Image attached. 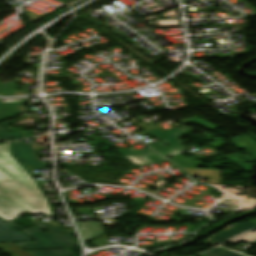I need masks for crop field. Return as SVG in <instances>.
Instances as JSON below:
<instances>
[{
    "mask_svg": "<svg viewBox=\"0 0 256 256\" xmlns=\"http://www.w3.org/2000/svg\"><path fill=\"white\" fill-rule=\"evenodd\" d=\"M31 241L29 237L15 230L9 224L0 219V243Z\"/></svg>",
    "mask_w": 256,
    "mask_h": 256,
    "instance_id": "obj_9",
    "label": "crop field"
},
{
    "mask_svg": "<svg viewBox=\"0 0 256 256\" xmlns=\"http://www.w3.org/2000/svg\"><path fill=\"white\" fill-rule=\"evenodd\" d=\"M191 156V158H186L182 154L172 156L169 160L177 164L178 166L185 169L187 172H189L193 176H203L208 177L209 181L208 183L213 184H219L222 170L221 169H213L214 167H222L220 164H213L209 165L207 167H210L208 169H198L197 166H205L203 163H201L198 158L192 156L189 152H186Z\"/></svg>",
    "mask_w": 256,
    "mask_h": 256,
    "instance_id": "obj_3",
    "label": "crop field"
},
{
    "mask_svg": "<svg viewBox=\"0 0 256 256\" xmlns=\"http://www.w3.org/2000/svg\"><path fill=\"white\" fill-rule=\"evenodd\" d=\"M252 228H256V224L251 221H248L246 223H243V224L237 226L233 230L223 231V232L211 237V239L221 243L227 239H230V238H232L236 235H239V234H241L249 229H252Z\"/></svg>",
    "mask_w": 256,
    "mask_h": 256,
    "instance_id": "obj_11",
    "label": "crop field"
},
{
    "mask_svg": "<svg viewBox=\"0 0 256 256\" xmlns=\"http://www.w3.org/2000/svg\"><path fill=\"white\" fill-rule=\"evenodd\" d=\"M24 213L53 216L45 195L12 156L10 143L0 144V218L14 220Z\"/></svg>",
    "mask_w": 256,
    "mask_h": 256,
    "instance_id": "obj_1",
    "label": "crop field"
},
{
    "mask_svg": "<svg viewBox=\"0 0 256 256\" xmlns=\"http://www.w3.org/2000/svg\"><path fill=\"white\" fill-rule=\"evenodd\" d=\"M164 144H166L169 148L163 146ZM148 146H150L154 150L158 151L163 156H168V155L179 153L177 150H175L174 148H172L170 145H168L165 142H157V143L149 144Z\"/></svg>",
    "mask_w": 256,
    "mask_h": 256,
    "instance_id": "obj_14",
    "label": "crop field"
},
{
    "mask_svg": "<svg viewBox=\"0 0 256 256\" xmlns=\"http://www.w3.org/2000/svg\"><path fill=\"white\" fill-rule=\"evenodd\" d=\"M192 131L193 129L191 127H179V128L171 129L164 132L158 129L152 130L151 132L154 133L163 141L173 146L178 151L182 152V151H186L187 149L182 146V143L179 140V136L188 134Z\"/></svg>",
    "mask_w": 256,
    "mask_h": 256,
    "instance_id": "obj_8",
    "label": "crop field"
},
{
    "mask_svg": "<svg viewBox=\"0 0 256 256\" xmlns=\"http://www.w3.org/2000/svg\"><path fill=\"white\" fill-rule=\"evenodd\" d=\"M82 238L84 241H90L95 237L103 234L102 236L98 237L94 241L90 242L94 246L98 247L101 245H105L108 241L102 227L100 226L99 222H76Z\"/></svg>",
    "mask_w": 256,
    "mask_h": 256,
    "instance_id": "obj_5",
    "label": "crop field"
},
{
    "mask_svg": "<svg viewBox=\"0 0 256 256\" xmlns=\"http://www.w3.org/2000/svg\"><path fill=\"white\" fill-rule=\"evenodd\" d=\"M0 249L6 251H16V250H24L21 247L17 246L14 243H3L0 244ZM11 256H31L26 251H16V252H7Z\"/></svg>",
    "mask_w": 256,
    "mask_h": 256,
    "instance_id": "obj_13",
    "label": "crop field"
},
{
    "mask_svg": "<svg viewBox=\"0 0 256 256\" xmlns=\"http://www.w3.org/2000/svg\"><path fill=\"white\" fill-rule=\"evenodd\" d=\"M231 142L239 149L243 148L248 154L242 156L238 154H231L226 156L229 160L239 165L246 171H251L255 164H246L247 162H256V141L247 135L235 137Z\"/></svg>",
    "mask_w": 256,
    "mask_h": 256,
    "instance_id": "obj_4",
    "label": "crop field"
},
{
    "mask_svg": "<svg viewBox=\"0 0 256 256\" xmlns=\"http://www.w3.org/2000/svg\"><path fill=\"white\" fill-rule=\"evenodd\" d=\"M7 223L36 241L16 243L27 250L67 248L79 245L78 240L74 239L60 228L50 230L44 234L36 227L24 229L13 221Z\"/></svg>",
    "mask_w": 256,
    "mask_h": 256,
    "instance_id": "obj_2",
    "label": "crop field"
},
{
    "mask_svg": "<svg viewBox=\"0 0 256 256\" xmlns=\"http://www.w3.org/2000/svg\"><path fill=\"white\" fill-rule=\"evenodd\" d=\"M206 256H244L232 251H225L222 250L221 247H216L206 253H204Z\"/></svg>",
    "mask_w": 256,
    "mask_h": 256,
    "instance_id": "obj_16",
    "label": "crop field"
},
{
    "mask_svg": "<svg viewBox=\"0 0 256 256\" xmlns=\"http://www.w3.org/2000/svg\"><path fill=\"white\" fill-rule=\"evenodd\" d=\"M118 153L127 158L128 160L138 164L139 166H144L166 160L150 149H145L135 153L132 150L126 148L118 151Z\"/></svg>",
    "mask_w": 256,
    "mask_h": 256,
    "instance_id": "obj_6",
    "label": "crop field"
},
{
    "mask_svg": "<svg viewBox=\"0 0 256 256\" xmlns=\"http://www.w3.org/2000/svg\"><path fill=\"white\" fill-rule=\"evenodd\" d=\"M182 123L184 124H189V123H196V124H200L210 130H213V129H217V127H215L213 124H211L210 122L208 121H205L203 119H200V118H192V119H186V120H183Z\"/></svg>",
    "mask_w": 256,
    "mask_h": 256,
    "instance_id": "obj_17",
    "label": "crop field"
},
{
    "mask_svg": "<svg viewBox=\"0 0 256 256\" xmlns=\"http://www.w3.org/2000/svg\"><path fill=\"white\" fill-rule=\"evenodd\" d=\"M29 99L25 101H20L17 104L14 102L10 103H0V120L19 114L27 113L28 108L24 107L23 104L27 103Z\"/></svg>",
    "mask_w": 256,
    "mask_h": 256,
    "instance_id": "obj_10",
    "label": "crop field"
},
{
    "mask_svg": "<svg viewBox=\"0 0 256 256\" xmlns=\"http://www.w3.org/2000/svg\"><path fill=\"white\" fill-rule=\"evenodd\" d=\"M0 139H2V140H17L20 138H19L18 132L9 135L6 130H4L2 127H0Z\"/></svg>",
    "mask_w": 256,
    "mask_h": 256,
    "instance_id": "obj_18",
    "label": "crop field"
},
{
    "mask_svg": "<svg viewBox=\"0 0 256 256\" xmlns=\"http://www.w3.org/2000/svg\"><path fill=\"white\" fill-rule=\"evenodd\" d=\"M34 151L33 145H23L21 140L14 142L15 156L27 169L42 167L37 157L33 154Z\"/></svg>",
    "mask_w": 256,
    "mask_h": 256,
    "instance_id": "obj_7",
    "label": "crop field"
},
{
    "mask_svg": "<svg viewBox=\"0 0 256 256\" xmlns=\"http://www.w3.org/2000/svg\"><path fill=\"white\" fill-rule=\"evenodd\" d=\"M18 86L13 82L2 85L0 84V96H15L28 94L25 90L16 91Z\"/></svg>",
    "mask_w": 256,
    "mask_h": 256,
    "instance_id": "obj_12",
    "label": "crop field"
},
{
    "mask_svg": "<svg viewBox=\"0 0 256 256\" xmlns=\"http://www.w3.org/2000/svg\"><path fill=\"white\" fill-rule=\"evenodd\" d=\"M19 133H20L21 139H22V138H26V136H25L21 131H20Z\"/></svg>",
    "mask_w": 256,
    "mask_h": 256,
    "instance_id": "obj_19",
    "label": "crop field"
},
{
    "mask_svg": "<svg viewBox=\"0 0 256 256\" xmlns=\"http://www.w3.org/2000/svg\"><path fill=\"white\" fill-rule=\"evenodd\" d=\"M33 256H70L72 253L69 249L55 251H30Z\"/></svg>",
    "mask_w": 256,
    "mask_h": 256,
    "instance_id": "obj_15",
    "label": "crop field"
}]
</instances>
